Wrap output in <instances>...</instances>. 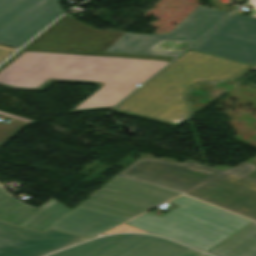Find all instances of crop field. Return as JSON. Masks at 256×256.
Segmentation results:
<instances>
[{
    "instance_id": "8a807250",
    "label": "crop field",
    "mask_w": 256,
    "mask_h": 256,
    "mask_svg": "<svg viewBox=\"0 0 256 256\" xmlns=\"http://www.w3.org/2000/svg\"><path fill=\"white\" fill-rule=\"evenodd\" d=\"M173 59L26 48L0 68V86L43 91L54 81L96 84L98 90L71 112L112 108ZM15 120H32L0 112Z\"/></svg>"
},
{
    "instance_id": "ac0d7876",
    "label": "crop field",
    "mask_w": 256,
    "mask_h": 256,
    "mask_svg": "<svg viewBox=\"0 0 256 256\" xmlns=\"http://www.w3.org/2000/svg\"><path fill=\"white\" fill-rule=\"evenodd\" d=\"M252 67L188 50L114 111L179 126L191 116L185 95L194 84L238 78Z\"/></svg>"
},
{
    "instance_id": "34b2d1b8",
    "label": "crop field",
    "mask_w": 256,
    "mask_h": 256,
    "mask_svg": "<svg viewBox=\"0 0 256 256\" xmlns=\"http://www.w3.org/2000/svg\"><path fill=\"white\" fill-rule=\"evenodd\" d=\"M171 202L179 206L161 217L147 213L126 224L207 252L252 223L186 196Z\"/></svg>"
},
{
    "instance_id": "412701ff",
    "label": "crop field",
    "mask_w": 256,
    "mask_h": 256,
    "mask_svg": "<svg viewBox=\"0 0 256 256\" xmlns=\"http://www.w3.org/2000/svg\"><path fill=\"white\" fill-rule=\"evenodd\" d=\"M178 194L116 176L79 206L130 219Z\"/></svg>"
},
{
    "instance_id": "f4fd0767",
    "label": "crop field",
    "mask_w": 256,
    "mask_h": 256,
    "mask_svg": "<svg viewBox=\"0 0 256 256\" xmlns=\"http://www.w3.org/2000/svg\"><path fill=\"white\" fill-rule=\"evenodd\" d=\"M254 170L244 162L183 194L256 221V179L246 176Z\"/></svg>"
},
{
    "instance_id": "dd49c442",
    "label": "crop field",
    "mask_w": 256,
    "mask_h": 256,
    "mask_svg": "<svg viewBox=\"0 0 256 256\" xmlns=\"http://www.w3.org/2000/svg\"><path fill=\"white\" fill-rule=\"evenodd\" d=\"M63 12L59 0H0V43L19 48Z\"/></svg>"
},
{
    "instance_id": "e52e79f7",
    "label": "crop field",
    "mask_w": 256,
    "mask_h": 256,
    "mask_svg": "<svg viewBox=\"0 0 256 256\" xmlns=\"http://www.w3.org/2000/svg\"><path fill=\"white\" fill-rule=\"evenodd\" d=\"M228 14L199 6L168 35L124 33L105 52L175 57L180 52L150 49L162 40L194 42Z\"/></svg>"
},
{
    "instance_id": "d8731c3e",
    "label": "crop field",
    "mask_w": 256,
    "mask_h": 256,
    "mask_svg": "<svg viewBox=\"0 0 256 256\" xmlns=\"http://www.w3.org/2000/svg\"><path fill=\"white\" fill-rule=\"evenodd\" d=\"M190 49L256 64V19L234 13Z\"/></svg>"
},
{
    "instance_id": "5a996713",
    "label": "crop field",
    "mask_w": 256,
    "mask_h": 256,
    "mask_svg": "<svg viewBox=\"0 0 256 256\" xmlns=\"http://www.w3.org/2000/svg\"><path fill=\"white\" fill-rule=\"evenodd\" d=\"M225 171L192 163L139 159L118 176L183 193Z\"/></svg>"
},
{
    "instance_id": "3316defc",
    "label": "crop field",
    "mask_w": 256,
    "mask_h": 256,
    "mask_svg": "<svg viewBox=\"0 0 256 256\" xmlns=\"http://www.w3.org/2000/svg\"><path fill=\"white\" fill-rule=\"evenodd\" d=\"M190 248L149 235L102 237L51 256H178Z\"/></svg>"
},
{
    "instance_id": "28ad6ade",
    "label": "crop field",
    "mask_w": 256,
    "mask_h": 256,
    "mask_svg": "<svg viewBox=\"0 0 256 256\" xmlns=\"http://www.w3.org/2000/svg\"><path fill=\"white\" fill-rule=\"evenodd\" d=\"M122 34L91 28L65 15L27 46L104 52Z\"/></svg>"
},
{
    "instance_id": "d1516ede",
    "label": "crop field",
    "mask_w": 256,
    "mask_h": 256,
    "mask_svg": "<svg viewBox=\"0 0 256 256\" xmlns=\"http://www.w3.org/2000/svg\"><path fill=\"white\" fill-rule=\"evenodd\" d=\"M87 238L47 230H28L0 221V256H42Z\"/></svg>"
},
{
    "instance_id": "22f410ed",
    "label": "crop field",
    "mask_w": 256,
    "mask_h": 256,
    "mask_svg": "<svg viewBox=\"0 0 256 256\" xmlns=\"http://www.w3.org/2000/svg\"><path fill=\"white\" fill-rule=\"evenodd\" d=\"M70 211L53 198L39 209L28 206L0 187L1 221L43 232Z\"/></svg>"
},
{
    "instance_id": "cbeb9de0",
    "label": "crop field",
    "mask_w": 256,
    "mask_h": 256,
    "mask_svg": "<svg viewBox=\"0 0 256 256\" xmlns=\"http://www.w3.org/2000/svg\"><path fill=\"white\" fill-rule=\"evenodd\" d=\"M126 220L78 206L51 228L91 238Z\"/></svg>"
},
{
    "instance_id": "5142ce71",
    "label": "crop field",
    "mask_w": 256,
    "mask_h": 256,
    "mask_svg": "<svg viewBox=\"0 0 256 256\" xmlns=\"http://www.w3.org/2000/svg\"><path fill=\"white\" fill-rule=\"evenodd\" d=\"M208 253L215 256H256V223L253 222Z\"/></svg>"
},
{
    "instance_id": "d9b57169",
    "label": "crop field",
    "mask_w": 256,
    "mask_h": 256,
    "mask_svg": "<svg viewBox=\"0 0 256 256\" xmlns=\"http://www.w3.org/2000/svg\"><path fill=\"white\" fill-rule=\"evenodd\" d=\"M26 125H28V124L19 122V121H15V120H13L7 126L0 124V146H2L10 138H12L16 133H18Z\"/></svg>"
},
{
    "instance_id": "733c2abd",
    "label": "crop field",
    "mask_w": 256,
    "mask_h": 256,
    "mask_svg": "<svg viewBox=\"0 0 256 256\" xmlns=\"http://www.w3.org/2000/svg\"><path fill=\"white\" fill-rule=\"evenodd\" d=\"M192 43L162 41L153 49L183 51Z\"/></svg>"
},
{
    "instance_id": "4a817a6b",
    "label": "crop field",
    "mask_w": 256,
    "mask_h": 256,
    "mask_svg": "<svg viewBox=\"0 0 256 256\" xmlns=\"http://www.w3.org/2000/svg\"><path fill=\"white\" fill-rule=\"evenodd\" d=\"M113 232H145V231H142V230H139L137 228H134V227H131L129 225L124 224V225H122V226H120V227H118V228H116V229H114V230H112L108 233H113ZM145 233H147V232H145Z\"/></svg>"
},
{
    "instance_id": "bc2a9ffb",
    "label": "crop field",
    "mask_w": 256,
    "mask_h": 256,
    "mask_svg": "<svg viewBox=\"0 0 256 256\" xmlns=\"http://www.w3.org/2000/svg\"><path fill=\"white\" fill-rule=\"evenodd\" d=\"M16 50L0 46V63L9 57Z\"/></svg>"
},
{
    "instance_id": "214f88e0",
    "label": "crop field",
    "mask_w": 256,
    "mask_h": 256,
    "mask_svg": "<svg viewBox=\"0 0 256 256\" xmlns=\"http://www.w3.org/2000/svg\"><path fill=\"white\" fill-rule=\"evenodd\" d=\"M246 4L255 6L249 16L256 18V0H248Z\"/></svg>"
},
{
    "instance_id": "92a150f3",
    "label": "crop field",
    "mask_w": 256,
    "mask_h": 256,
    "mask_svg": "<svg viewBox=\"0 0 256 256\" xmlns=\"http://www.w3.org/2000/svg\"><path fill=\"white\" fill-rule=\"evenodd\" d=\"M200 255H202V253L190 249L180 256H200Z\"/></svg>"
},
{
    "instance_id": "dafd665d",
    "label": "crop field",
    "mask_w": 256,
    "mask_h": 256,
    "mask_svg": "<svg viewBox=\"0 0 256 256\" xmlns=\"http://www.w3.org/2000/svg\"><path fill=\"white\" fill-rule=\"evenodd\" d=\"M252 69H256V66L254 68H252Z\"/></svg>"
},
{
    "instance_id": "00972430",
    "label": "crop field",
    "mask_w": 256,
    "mask_h": 256,
    "mask_svg": "<svg viewBox=\"0 0 256 256\" xmlns=\"http://www.w3.org/2000/svg\"><path fill=\"white\" fill-rule=\"evenodd\" d=\"M203 256H207V255H203Z\"/></svg>"
}]
</instances>
